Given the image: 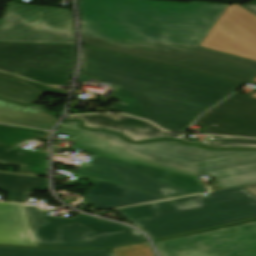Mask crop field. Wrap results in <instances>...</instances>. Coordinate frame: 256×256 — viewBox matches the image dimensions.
Here are the masks:
<instances>
[{
	"label": "crop field",
	"instance_id": "crop-field-21",
	"mask_svg": "<svg viewBox=\"0 0 256 256\" xmlns=\"http://www.w3.org/2000/svg\"><path fill=\"white\" fill-rule=\"evenodd\" d=\"M241 187H243L244 189H246L247 191L256 196V184L245 185Z\"/></svg>",
	"mask_w": 256,
	"mask_h": 256
},
{
	"label": "crop field",
	"instance_id": "crop-field-1",
	"mask_svg": "<svg viewBox=\"0 0 256 256\" xmlns=\"http://www.w3.org/2000/svg\"><path fill=\"white\" fill-rule=\"evenodd\" d=\"M228 6L80 0L84 45L246 84L256 61L199 46Z\"/></svg>",
	"mask_w": 256,
	"mask_h": 256
},
{
	"label": "crop field",
	"instance_id": "crop-field-19",
	"mask_svg": "<svg viewBox=\"0 0 256 256\" xmlns=\"http://www.w3.org/2000/svg\"><path fill=\"white\" fill-rule=\"evenodd\" d=\"M66 119H80L83 121L84 127L91 129L103 128L120 134L135 120V118L121 114L71 116Z\"/></svg>",
	"mask_w": 256,
	"mask_h": 256
},
{
	"label": "crop field",
	"instance_id": "crop-field-8",
	"mask_svg": "<svg viewBox=\"0 0 256 256\" xmlns=\"http://www.w3.org/2000/svg\"><path fill=\"white\" fill-rule=\"evenodd\" d=\"M75 59V46L0 43V70L48 85H70Z\"/></svg>",
	"mask_w": 256,
	"mask_h": 256
},
{
	"label": "crop field",
	"instance_id": "crop-field-14",
	"mask_svg": "<svg viewBox=\"0 0 256 256\" xmlns=\"http://www.w3.org/2000/svg\"><path fill=\"white\" fill-rule=\"evenodd\" d=\"M131 141H144L158 138H179L184 139L185 134L166 133L147 121L136 119L123 133ZM185 140V139H184ZM187 141V140H186ZM189 142V141H188ZM202 143L211 148H238V147H256L255 139H239L211 136L208 142Z\"/></svg>",
	"mask_w": 256,
	"mask_h": 256
},
{
	"label": "crop field",
	"instance_id": "crop-field-10",
	"mask_svg": "<svg viewBox=\"0 0 256 256\" xmlns=\"http://www.w3.org/2000/svg\"><path fill=\"white\" fill-rule=\"evenodd\" d=\"M200 47L256 60V16L230 5Z\"/></svg>",
	"mask_w": 256,
	"mask_h": 256
},
{
	"label": "crop field",
	"instance_id": "crop-field-18",
	"mask_svg": "<svg viewBox=\"0 0 256 256\" xmlns=\"http://www.w3.org/2000/svg\"><path fill=\"white\" fill-rule=\"evenodd\" d=\"M0 256H115L107 250H46L0 247Z\"/></svg>",
	"mask_w": 256,
	"mask_h": 256
},
{
	"label": "crop field",
	"instance_id": "crop-field-2",
	"mask_svg": "<svg viewBox=\"0 0 256 256\" xmlns=\"http://www.w3.org/2000/svg\"><path fill=\"white\" fill-rule=\"evenodd\" d=\"M113 84L120 101L109 109L186 131L207 109L244 85L84 47L78 84Z\"/></svg>",
	"mask_w": 256,
	"mask_h": 256
},
{
	"label": "crop field",
	"instance_id": "crop-field-11",
	"mask_svg": "<svg viewBox=\"0 0 256 256\" xmlns=\"http://www.w3.org/2000/svg\"><path fill=\"white\" fill-rule=\"evenodd\" d=\"M196 125L201 133L256 138V99L234 94L204 114Z\"/></svg>",
	"mask_w": 256,
	"mask_h": 256
},
{
	"label": "crop field",
	"instance_id": "crop-field-5",
	"mask_svg": "<svg viewBox=\"0 0 256 256\" xmlns=\"http://www.w3.org/2000/svg\"><path fill=\"white\" fill-rule=\"evenodd\" d=\"M153 240L256 218V197L241 187L116 210Z\"/></svg>",
	"mask_w": 256,
	"mask_h": 256
},
{
	"label": "crop field",
	"instance_id": "crop-field-6",
	"mask_svg": "<svg viewBox=\"0 0 256 256\" xmlns=\"http://www.w3.org/2000/svg\"><path fill=\"white\" fill-rule=\"evenodd\" d=\"M66 156L54 161L79 166L74 176L101 180L167 199L208 192L199 178L106 159L93 155L90 162L71 163Z\"/></svg>",
	"mask_w": 256,
	"mask_h": 256
},
{
	"label": "crop field",
	"instance_id": "crop-field-20",
	"mask_svg": "<svg viewBox=\"0 0 256 256\" xmlns=\"http://www.w3.org/2000/svg\"><path fill=\"white\" fill-rule=\"evenodd\" d=\"M242 6L256 15V1L242 5Z\"/></svg>",
	"mask_w": 256,
	"mask_h": 256
},
{
	"label": "crop field",
	"instance_id": "crop-field-15",
	"mask_svg": "<svg viewBox=\"0 0 256 256\" xmlns=\"http://www.w3.org/2000/svg\"><path fill=\"white\" fill-rule=\"evenodd\" d=\"M44 93L67 97L68 92L0 72V98L34 104Z\"/></svg>",
	"mask_w": 256,
	"mask_h": 256
},
{
	"label": "crop field",
	"instance_id": "crop-field-4",
	"mask_svg": "<svg viewBox=\"0 0 256 256\" xmlns=\"http://www.w3.org/2000/svg\"><path fill=\"white\" fill-rule=\"evenodd\" d=\"M46 215L38 207L0 203V244L111 248L146 241L132 229L81 213L73 219Z\"/></svg>",
	"mask_w": 256,
	"mask_h": 256
},
{
	"label": "crop field",
	"instance_id": "crop-field-3",
	"mask_svg": "<svg viewBox=\"0 0 256 256\" xmlns=\"http://www.w3.org/2000/svg\"><path fill=\"white\" fill-rule=\"evenodd\" d=\"M79 125L64 122L56 132L75 137V150L196 177L211 174L222 189L256 183V151H211L168 140L132 144Z\"/></svg>",
	"mask_w": 256,
	"mask_h": 256
},
{
	"label": "crop field",
	"instance_id": "crop-field-16",
	"mask_svg": "<svg viewBox=\"0 0 256 256\" xmlns=\"http://www.w3.org/2000/svg\"><path fill=\"white\" fill-rule=\"evenodd\" d=\"M57 118L47 114L41 106H26L0 100V122L51 130Z\"/></svg>",
	"mask_w": 256,
	"mask_h": 256
},
{
	"label": "crop field",
	"instance_id": "crop-field-17",
	"mask_svg": "<svg viewBox=\"0 0 256 256\" xmlns=\"http://www.w3.org/2000/svg\"><path fill=\"white\" fill-rule=\"evenodd\" d=\"M46 182L47 179L0 173V189L9 193L12 201L23 204L30 189L47 191Z\"/></svg>",
	"mask_w": 256,
	"mask_h": 256
},
{
	"label": "crop field",
	"instance_id": "crop-field-12",
	"mask_svg": "<svg viewBox=\"0 0 256 256\" xmlns=\"http://www.w3.org/2000/svg\"><path fill=\"white\" fill-rule=\"evenodd\" d=\"M49 132L0 124V164L20 166L17 172L46 176L47 151L18 148L27 140L48 139Z\"/></svg>",
	"mask_w": 256,
	"mask_h": 256
},
{
	"label": "crop field",
	"instance_id": "crop-field-13",
	"mask_svg": "<svg viewBox=\"0 0 256 256\" xmlns=\"http://www.w3.org/2000/svg\"><path fill=\"white\" fill-rule=\"evenodd\" d=\"M85 195H89V197L85 196L86 202L101 211L166 200L151 194L101 181Z\"/></svg>",
	"mask_w": 256,
	"mask_h": 256
},
{
	"label": "crop field",
	"instance_id": "crop-field-9",
	"mask_svg": "<svg viewBox=\"0 0 256 256\" xmlns=\"http://www.w3.org/2000/svg\"><path fill=\"white\" fill-rule=\"evenodd\" d=\"M156 244L162 256H256V222Z\"/></svg>",
	"mask_w": 256,
	"mask_h": 256
},
{
	"label": "crop field",
	"instance_id": "crop-field-7",
	"mask_svg": "<svg viewBox=\"0 0 256 256\" xmlns=\"http://www.w3.org/2000/svg\"><path fill=\"white\" fill-rule=\"evenodd\" d=\"M0 41L75 44L72 10L10 3L0 23Z\"/></svg>",
	"mask_w": 256,
	"mask_h": 256
}]
</instances>
